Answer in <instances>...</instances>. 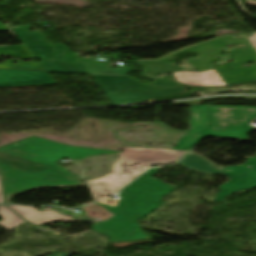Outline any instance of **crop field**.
Returning a JSON list of instances; mask_svg holds the SVG:
<instances>
[{"label":"crop field","instance_id":"obj_10","mask_svg":"<svg viewBox=\"0 0 256 256\" xmlns=\"http://www.w3.org/2000/svg\"><path fill=\"white\" fill-rule=\"evenodd\" d=\"M89 74L127 76V67L110 69L101 62H93L89 58L77 57Z\"/></svg>","mask_w":256,"mask_h":256},{"label":"crop field","instance_id":"obj_4","mask_svg":"<svg viewBox=\"0 0 256 256\" xmlns=\"http://www.w3.org/2000/svg\"><path fill=\"white\" fill-rule=\"evenodd\" d=\"M0 173L5 187L6 203L20 193L37 188L83 187L86 183L77 180L63 167L53 168L0 153Z\"/></svg>","mask_w":256,"mask_h":256},{"label":"crop field","instance_id":"obj_2","mask_svg":"<svg viewBox=\"0 0 256 256\" xmlns=\"http://www.w3.org/2000/svg\"><path fill=\"white\" fill-rule=\"evenodd\" d=\"M158 170H149L120 191L118 195L121 200L117 207L96 202L114 216L105 222L94 223V231L110 236L111 243L149 239L141 231L138 220L157 209L161 205L162 196L175 188L151 178Z\"/></svg>","mask_w":256,"mask_h":256},{"label":"crop field","instance_id":"obj_15","mask_svg":"<svg viewBox=\"0 0 256 256\" xmlns=\"http://www.w3.org/2000/svg\"><path fill=\"white\" fill-rule=\"evenodd\" d=\"M0 203H4V198H3V194H2V185H1V181H0Z\"/></svg>","mask_w":256,"mask_h":256},{"label":"crop field","instance_id":"obj_6","mask_svg":"<svg viewBox=\"0 0 256 256\" xmlns=\"http://www.w3.org/2000/svg\"><path fill=\"white\" fill-rule=\"evenodd\" d=\"M184 158V157H183ZM241 166L218 168L213 164L190 152L178 164L202 174H226L231 181L220 186V191L216 194V201L224 200V197L240 190L256 186V157L248 158ZM228 169H231L229 172Z\"/></svg>","mask_w":256,"mask_h":256},{"label":"crop field","instance_id":"obj_12","mask_svg":"<svg viewBox=\"0 0 256 256\" xmlns=\"http://www.w3.org/2000/svg\"><path fill=\"white\" fill-rule=\"evenodd\" d=\"M0 216L3 217V221L0 222V225L5 227L7 230H11L12 228L25 222L21 217L5 206H0Z\"/></svg>","mask_w":256,"mask_h":256},{"label":"crop field","instance_id":"obj_11","mask_svg":"<svg viewBox=\"0 0 256 256\" xmlns=\"http://www.w3.org/2000/svg\"><path fill=\"white\" fill-rule=\"evenodd\" d=\"M209 123L208 106H191V128Z\"/></svg>","mask_w":256,"mask_h":256},{"label":"crop field","instance_id":"obj_5","mask_svg":"<svg viewBox=\"0 0 256 256\" xmlns=\"http://www.w3.org/2000/svg\"><path fill=\"white\" fill-rule=\"evenodd\" d=\"M0 152L53 167H59L57 161L64 158L80 161L88 156L120 155V152L69 147L35 137L2 147Z\"/></svg>","mask_w":256,"mask_h":256},{"label":"crop field","instance_id":"obj_7","mask_svg":"<svg viewBox=\"0 0 256 256\" xmlns=\"http://www.w3.org/2000/svg\"><path fill=\"white\" fill-rule=\"evenodd\" d=\"M93 76L115 104L140 103L187 92L182 86L168 89L140 85L128 77Z\"/></svg>","mask_w":256,"mask_h":256},{"label":"crop field","instance_id":"obj_16","mask_svg":"<svg viewBox=\"0 0 256 256\" xmlns=\"http://www.w3.org/2000/svg\"><path fill=\"white\" fill-rule=\"evenodd\" d=\"M246 3H248V4L252 5V6H256V1H248Z\"/></svg>","mask_w":256,"mask_h":256},{"label":"crop field","instance_id":"obj_14","mask_svg":"<svg viewBox=\"0 0 256 256\" xmlns=\"http://www.w3.org/2000/svg\"><path fill=\"white\" fill-rule=\"evenodd\" d=\"M70 255H71V254L55 252V253L52 254L51 256H70Z\"/></svg>","mask_w":256,"mask_h":256},{"label":"crop field","instance_id":"obj_9","mask_svg":"<svg viewBox=\"0 0 256 256\" xmlns=\"http://www.w3.org/2000/svg\"><path fill=\"white\" fill-rule=\"evenodd\" d=\"M12 210L16 213L24 217L30 223L35 225H44L48 222L53 221H72L74 219L68 218L63 216L53 210L48 211H37L36 208L26 207V206H15V205H8Z\"/></svg>","mask_w":256,"mask_h":256},{"label":"crop field","instance_id":"obj_3","mask_svg":"<svg viewBox=\"0 0 256 256\" xmlns=\"http://www.w3.org/2000/svg\"><path fill=\"white\" fill-rule=\"evenodd\" d=\"M248 48L231 50L235 63L224 64L214 70L201 73L183 72V68L172 66L159 61H141L147 74L156 76L160 73H174L178 82L195 86L232 85L256 81V66L242 68L244 63L256 59V33L244 40ZM238 54L239 56H236Z\"/></svg>","mask_w":256,"mask_h":256},{"label":"crop field","instance_id":"obj_13","mask_svg":"<svg viewBox=\"0 0 256 256\" xmlns=\"http://www.w3.org/2000/svg\"><path fill=\"white\" fill-rule=\"evenodd\" d=\"M155 86H167V87H175L178 86L177 83H172L168 80H161V79H156L155 80Z\"/></svg>","mask_w":256,"mask_h":256},{"label":"crop field","instance_id":"obj_1","mask_svg":"<svg viewBox=\"0 0 256 256\" xmlns=\"http://www.w3.org/2000/svg\"><path fill=\"white\" fill-rule=\"evenodd\" d=\"M209 110L210 124L189 131L171 150L124 147L110 174L88 181L95 198L119 190L154 164L176 162L208 136L247 139L248 133L256 129L247 125L256 117V107L209 106Z\"/></svg>","mask_w":256,"mask_h":256},{"label":"crop field","instance_id":"obj_17","mask_svg":"<svg viewBox=\"0 0 256 256\" xmlns=\"http://www.w3.org/2000/svg\"><path fill=\"white\" fill-rule=\"evenodd\" d=\"M59 201H60V200H59ZM59 201H57L55 205H57Z\"/></svg>","mask_w":256,"mask_h":256},{"label":"crop field","instance_id":"obj_8","mask_svg":"<svg viewBox=\"0 0 256 256\" xmlns=\"http://www.w3.org/2000/svg\"><path fill=\"white\" fill-rule=\"evenodd\" d=\"M56 83L47 72L0 69V87Z\"/></svg>","mask_w":256,"mask_h":256}]
</instances>
